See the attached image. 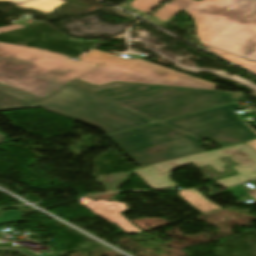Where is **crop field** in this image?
I'll use <instances>...</instances> for the list:
<instances>
[{
    "instance_id": "crop-field-17",
    "label": "crop field",
    "mask_w": 256,
    "mask_h": 256,
    "mask_svg": "<svg viewBox=\"0 0 256 256\" xmlns=\"http://www.w3.org/2000/svg\"><path fill=\"white\" fill-rule=\"evenodd\" d=\"M23 27L24 26H21V25L2 27V28H0V33L1 32H6V31L15 30V29H19V28H23Z\"/></svg>"
},
{
    "instance_id": "crop-field-8",
    "label": "crop field",
    "mask_w": 256,
    "mask_h": 256,
    "mask_svg": "<svg viewBox=\"0 0 256 256\" xmlns=\"http://www.w3.org/2000/svg\"><path fill=\"white\" fill-rule=\"evenodd\" d=\"M238 107V103L231 104L162 123L201 139H210L220 147L255 139L232 112Z\"/></svg>"
},
{
    "instance_id": "crop-field-3",
    "label": "crop field",
    "mask_w": 256,
    "mask_h": 256,
    "mask_svg": "<svg viewBox=\"0 0 256 256\" xmlns=\"http://www.w3.org/2000/svg\"><path fill=\"white\" fill-rule=\"evenodd\" d=\"M186 6L206 47H214L256 24V0H171L152 15L165 21Z\"/></svg>"
},
{
    "instance_id": "crop-field-4",
    "label": "crop field",
    "mask_w": 256,
    "mask_h": 256,
    "mask_svg": "<svg viewBox=\"0 0 256 256\" xmlns=\"http://www.w3.org/2000/svg\"><path fill=\"white\" fill-rule=\"evenodd\" d=\"M82 60L100 64L78 78L95 85L122 81L210 90L217 86L139 59H126L96 50Z\"/></svg>"
},
{
    "instance_id": "crop-field-7",
    "label": "crop field",
    "mask_w": 256,
    "mask_h": 256,
    "mask_svg": "<svg viewBox=\"0 0 256 256\" xmlns=\"http://www.w3.org/2000/svg\"><path fill=\"white\" fill-rule=\"evenodd\" d=\"M141 166L204 152L199 140L159 123L108 135Z\"/></svg>"
},
{
    "instance_id": "crop-field-6",
    "label": "crop field",
    "mask_w": 256,
    "mask_h": 256,
    "mask_svg": "<svg viewBox=\"0 0 256 256\" xmlns=\"http://www.w3.org/2000/svg\"><path fill=\"white\" fill-rule=\"evenodd\" d=\"M228 156L236 166L233 169L239 173L236 176L214 181L225 188L252 178H256V151L241 143L184 158L168 160L133 170L152 190H163L177 186L170 179L172 170L193 164L197 167L210 165L217 172H225L226 166L219 158Z\"/></svg>"
},
{
    "instance_id": "crop-field-1",
    "label": "crop field",
    "mask_w": 256,
    "mask_h": 256,
    "mask_svg": "<svg viewBox=\"0 0 256 256\" xmlns=\"http://www.w3.org/2000/svg\"><path fill=\"white\" fill-rule=\"evenodd\" d=\"M69 84L158 121L243 100L239 92L122 82L95 86L78 79Z\"/></svg>"
},
{
    "instance_id": "crop-field-2",
    "label": "crop field",
    "mask_w": 256,
    "mask_h": 256,
    "mask_svg": "<svg viewBox=\"0 0 256 256\" xmlns=\"http://www.w3.org/2000/svg\"><path fill=\"white\" fill-rule=\"evenodd\" d=\"M0 42V84L44 98L96 64Z\"/></svg>"
},
{
    "instance_id": "crop-field-19",
    "label": "crop field",
    "mask_w": 256,
    "mask_h": 256,
    "mask_svg": "<svg viewBox=\"0 0 256 256\" xmlns=\"http://www.w3.org/2000/svg\"><path fill=\"white\" fill-rule=\"evenodd\" d=\"M248 194L252 195L253 199L256 200V190L248 191Z\"/></svg>"
},
{
    "instance_id": "crop-field-11",
    "label": "crop field",
    "mask_w": 256,
    "mask_h": 256,
    "mask_svg": "<svg viewBox=\"0 0 256 256\" xmlns=\"http://www.w3.org/2000/svg\"><path fill=\"white\" fill-rule=\"evenodd\" d=\"M39 100L38 98L0 85V111L36 108L32 105ZM3 141L4 137L0 134V143H3Z\"/></svg>"
},
{
    "instance_id": "crop-field-16",
    "label": "crop field",
    "mask_w": 256,
    "mask_h": 256,
    "mask_svg": "<svg viewBox=\"0 0 256 256\" xmlns=\"http://www.w3.org/2000/svg\"><path fill=\"white\" fill-rule=\"evenodd\" d=\"M227 191H229V192H231V193L239 192L241 196H247V195L245 194L244 190L241 188L240 185L235 186V187L228 188Z\"/></svg>"
},
{
    "instance_id": "crop-field-18",
    "label": "crop field",
    "mask_w": 256,
    "mask_h": 256,
    "mask_svg": "<svg viewBox=\"0 0 256 256\" xmlns=\"http://www.w3.org/2000/svg\"><path fill=\"white\" fill-rule=\"evenodd\" d=\"M246 144L249 145L254 150H256V140L250 141V142H246Z\"/></svg>"
},
{
    "instance_id": "crop-field-12",
    "label": "crop field",
    "mask_w": 256,
    "mask_h": 256,
    "mask_svg": "<svg viewBox=\"0 0 256 256\" xmlns=\"http://www.w3.org/2000/svg\"><path fill=\"white\" fill-rule=\"evenodd\" d=\"M179 196L203 214L221 209L220 206L207 200L197 190L182 191L179 192Z\"/></svg>"
},
{
    "instance_id": "crop-field-9",
    "label": "crop field",
    "mask_w": 256,
    "mask_h": 256,
    "mask_svg": "<svg viewBox=\"0 0 256 256\" xmlns=\"http://www.w3.org/2000/svg\"><path fill=\"white\" fill-rule=\"evenodd\" d=\"M80 204L86 208H90L91 212L95 215L105 218L109 223L115 224L118 228L129 235L141 233V231L125 219L120 212L127 210L124 203H118L116 201H97L94 202L90 198H80Z\"/></svg>"
},
{
    "instance_id": "crop-field-10",
    "label": "crop field",
    "mask_w": 256,
    "mask_h": 256,
    "mask_svg": "<svg viewBox=\"0 0 256 256\" xmlns=\"http://www.w3.org/2000/svg\"><path fill=\"white\" fill-rule=\"evenodd\" d=\"M215 48L256 61V25Z\"/></svg>"
},
{
    "instance_id": "crop-field-15",
    "label": "crop field",
    "mask_w": 256,
    "mask_h": 256,
    "mask_svg": "<svg viewBox=\"0 0 256 256\" xmlns=\"http://www.w3.org/2000/svg\"><path fill=\"white\" fill-rule=\"evenodd\" d=\"M19 221H23L20 211L1 212L0 225L2 223H11Z\"/></svg>"
},
{
    "instance_id": "crop-field-13",
    "label": "crop field",
    "mask_w": 256,
    "mask_h": 256,
    "mask_svg": "<svg viewBox=\"0 0 256 256\" xmlns=\"http://www.w3.org/2000/svg\"><path fill=\"white\" fill-rule=\"evenodd\" d=\"M207 48H209V49H207V50H209V51H211V52H214V53H216V54H219V55H221L223 58H225V59H227V60H230V61H232V62H234V63H236V64H238V65H240V66H243V67H245V68H247V69H249V70H251V71H253V72L256 73V62L248 61V60H246V59L237 57V56H235V55H232V54H229V53H226V52H223V51H221V50L212 48V47H210V46L207 47Z\"/></svg>"
},
{
    "instance_id": "crop-field-5",
    "label": "crop field",
    "mask_w": 256,
    "mask_h": 256,
    "mask_svg": "<svg viewBox=\"0 0 256 256\" xmlns=\"http://www.w3.org/2000/svg\"><path fill=\"white\" fill-rule=\"evenodd\" d=\"M34 105L98 128L105 134L155 122L69 86Z\"/></svg>"
},
{
    "instance_id": "crop-field-14",
    "label": "crop field",
    "mask_w": 256,
    "mask_h": 256,
    "mask_svg": "<svg viewBox=\"0 0 256 256\" xmlns=\"http://www.w3.org/2000/svg\"><path fill=\"white\" fill-rule=\"evenodd\" d=\"M165 1L166 0H135L131 3V7H134L148 14L163 4Z\"/></svg>"
}]
</instances>
